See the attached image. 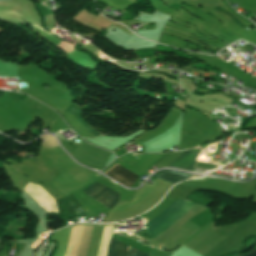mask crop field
<instances>
[{
    "label": "crop field",
    "mask_w": 256,
    "mask_h": 256,
    "mask_svg": "<svg viewBox=\"0 0 256 256\" xmlns=\"http://www.w3.org/2000/svg\"><path fill=\"white\" fill-rule=\"evenodd\" d=\"M93 227L94 225H85L76 256H86ZM113 229V225L104 227L97 256H106L107 246Z\"/></svg>",
    "instance_id": "crop-field-2"
},
{
    "label": "crop field",
    "mask_w": 256,
    "mask_h": 256,
    "mask_svg": "<svg viewBox=\"0 0 256 256\" xmlns=\"http://www.w3.org/2000/svg\"><path fill=\"white\" fill-rule=\"evenodd\" d=\"M105 175L115 179L116 181H118L128 187L132 186L139 177L118 165H116L114 168H112Z\"/></svg>",
    "instance_id": "crop-field-4"
},
{
    "label": "crop field",
    "mask_w": 256,
    "mask_h": 256,
    "mask_svg": "<svg viewBox=\"0 0 256 256\" xmlns=\"http://www.w3.org/2000/svg\"><path fill=\"white\" fill-rule=\"evenodd\" d=\"M2 92H3V91L0 90V96H1Z\"/></svg>",
    "instance_id": "crop-field-9"
},
{
    "label": "crop field",
    "mask_w": 256,
    "mask_h": 256,
    "mask_svg": "<svg viewBox=\"0 0 256 256\" xmlns=\"http://www.w3.org/2000/svg\"><path fill=\"white\" fill-rule=\"evenodd\" d=\"M190 177H193V175L182 174V173L173 172V171H169V170H166L163 173L156 176V178L165 180V181L173 183V184H176V183H178L182 180L188 179Z\"/></svg>",
    "instance_id": "crop-field-7"
},
{
    "label": "crop field",
    "mask_w": 256,
    "mask_h": 256,
    "mask_svg": "<svg viewBox=\"0 0 256 256\" xmlns=\"http://www.w3.org/2000/svg\"><path fill=\"white\" fill-rule=\"evenodd\" d=\"M85 194L89 195L96 201L105 205L108 208H112L113 205L118 202L119 194L97 182H93L89 187L83 190Z\"/></svg>",
    "instance_id": "crop-field-3"
},
{
    "label": "crop field",
    "mask_w": 256,
    "mask_h": 256,
    "mask_svg": "<svg viewBox=\"0 0 256 256\" xmlns=\"http://www.w3.org/2000/svg\"><path fill=\"white\" fill-rule=\"evenodd\" d=\"M247 256H256V249H255L252 253H250L249 255H247Z\"/></svg>",
    "instance_id": "crop-field-8"
},
{
    "label": "crop field",
    "mask_w": 256,
    "mask_h": 256,
    "mask_svg": "<svg viewBox=\"0 0 256 256\" xmlns=\"http://www.w3.org/2000/svg\"><path fill=\"white\" fill-rule=\"evenodd\" d=\"M185 201L176 199L174 203L165 210L160 216L156 217L152 221L148 222V232L157 227L161 224L164 220H166L169 216H171L175 211H177ZM195 204L191 202H186L177 212H175L171 217H169L166 221H164L161 225L157 228L152 230L150 235L152 238H156L160 235L163 231L173 225L176 221H178L184 214H186Z\"/></svg>",
    "instance_id": "crop-field-1"
},
{
    "label": "crop field",
    "mask_w": 256,
    "mask_h": 256,
    "mask_svg": "<svg viewBox=\"0 0 256 256\" xmlns=\"http://www.w3.org/2000/svg\"><path fill=\"white\" fill-rule=\"evenodd\" d=\"M118 242H119L118 240H115L113 238L111 239L108 256H115L117 246H118ZM127 248H128L127 245L119 242V246H118L116 256H126ZM137 252H138L137 250L130 247V249L127 253V256H137ZM138 256H148V253H144V252L139 251Z\"/></svg>",
    "instance_id": "crop-field-5"
},
{
    "label": "crop field",
    "mask_w": 256,
    "mask_h": 256,
    "mask_svg": "<svg viewBox=\"0 0 256 256\" xmlns=\"http://www.w3.org/2000/svg\"><path fill=\"white\" fill-rule=\"evenodd\" d=\"M198 156L199 154L186 151L166 167H174L185 170Z\"/></svg>",
    "instance_id": "crop-field-6"
}]
</instances>
